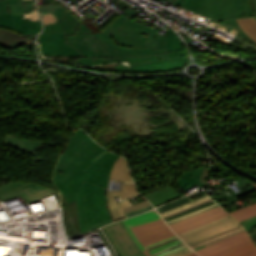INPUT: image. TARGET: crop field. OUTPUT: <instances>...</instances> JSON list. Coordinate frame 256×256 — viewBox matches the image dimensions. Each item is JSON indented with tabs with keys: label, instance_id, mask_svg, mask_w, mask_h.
Returning a JSON list of instances; mask_svg holds the SVG:
<instances>
[{
	"label": "crop field",
	"instance_id": "obj_1",
	"mask_svg": "<svg viewBox=\"0 0 256 256\" xmlns=\"http://www.w3.org/2000/svg\"><path fill=\"white\" fill-rule=\"evenodd\" d=\"M66 34V42L79 50L85 58H78L77 64H96L129 61V64L155 61V48H145L147 37L140 34L151 28L120 15L101 34H91L68 10L60 21ZM112 34V35H110ZM116 39V41H113Z\"/></svg>",
	"mask_w": 256,
	"mask_h": 256
},
{
	"label": "crop field",
	"instance_id": "obj_2",
	"mask_svg": "<svg viewBox=\"0 0 256 256\" xmlns=\"http://www.w3.org/2000/svg\"><path fill=\"white\" fill-rule=\"evenodd\" d=\"M81 130L76 129L67 141L54 174V183L67 204L76 200V191L89 175L83 170L108 152Z\"/></svg>",
	"mask_w": 256,
	"mask_h": 256
},
{
	"label": "crop field",
	"instance_id": "obj_3",
	"mask_svg": "<svg viewBox=\"0 0 256 256\" xmlns=\"http://www.w3.org/2000/svg\"><path fill=\"white\" fill-rule=\"evenodd\" d=\"M82 233L113 222L107 208L105 189L84 182L77 192Z\"/></svg>",
	"mask_w": 256,
	"mask_h": 256
},
{
	"label": "crop field",
	"instance_id": "obj_4",
	"mask_svg": "<svg viewBox=\"0 0 256 256\" xmlns=\"http://www.w3.org/2000/svg\"><path fill=\"white\" fill-rule=\"evenodd\" d=\"M151 102L148 99H145L144 102L141 103V100H131L127 99L123 103V105L120 108H115L111 115L115 114V119L117 117H120V121L126 122V125H131V127H135L134 131L138 134L143 135H149L156 131L158 127H163L164 125H167L169 123H175L174 127L176 128H182L186 126L182 121H180L170 110H166L165 108L159 110L164 111V113H170L172 115V118L170 121L160 125V126H154L151 122H149L146 118L151 112L149 110L152 105H150ZM106 113H109L111 111L106 109ZM110 115V116H111Z\"/></svg>",
	"mask_w": 256,
	"mask_h": 256
},
{
	"label": "crop field",
	"instance_id": "obj_5",
	"mask_svg": "<svg viewBox=\"0 0 256 256\" xmlns=\"http://www.w3.org/2000/svg\"><path fill=\"white\" fill-rule=\"evenodd\" d=\"M215 207H218V205L205 195L193 200H190V198L186 196L167 205L161 206L157 208V210L167 221L168 225H170Z\"/></svg>",
	"mask_w": 256,
	"mask_h": 256
},
{
	"label": "crop field",
	"instance_id": "obj_6",
	"mask_svg": "<svg viewBox=\"0 0 256 256\" xmlns=\"http://www.w3.org/2000/svg\"><path fill=\"white\" fill-rule=\"evenodd\" d=\"M196 252L201 256H256V247L244 231Z\"/></svg>",
	"mask_w": 256,
	"mask_h": 256
},
{
	"label": "crop field",
	"instance_id": "obj_7",
	"mask_svg": "<svg viewBox=\"0 0 256 256\" xmlns=\"http://www.w3.org/2000/svg\"><path fill=\"white\" fill-rule=\"evenodd\" d=\"M240 226V224L230 215L214 220L192 230L179 234V237L187 244H191L218 234L220 232L229 230L231 228Z\"/></svg>",
	"mask_w": 256,
	"mask_h": 256
},
{
	"label": "crop field",
	"instance_id": "obj_8",
	"mask_svg": "<svg viewBox=\"0 0 256 256\" xmlns=\"http://www.w3.org/2000/svg\"><path fill=\"white\" fill-rule=\"evenodd\" d=\"M121 256H145L133 241L122 221L103 227Z\"/></svg>",
	"mask_w": 256,
	"mask_h": 256
},
{
	"label": "crop field",
	"instance_id": "obj_9",
	"mask_svg": "<svg viewBox=\"0 0 256 256\" xmlns=\"http://www.w3.org/2000/svg\"><path fill=\"white\" fill-rule=\"evenodd\" d=\"M64 33H42L39 39L43 54L83 57L79 51L65 42Z\"/></svg>",
	"mask_w": 256,
	"mask_h": 256
},
{
	"label": "crop field",
	"instance_id": "obj_10",
	"mask_svg": "<svg viewBox=\"0 0 256 256\" xmlns=\"http://www.w3.org/2000/svg\"><path fill=\"white\" fill-rule=\"evenodd\" d=\"M132 230L143 246L175 236L163 219L142 226L133 227Z\"/></svg>",
	"mask_w": 256,
	"mask_h": 256
},
{
	"label": "crop field",
	"instance_id": "obj_11",
	"mask_svg": "<svg viewBox=\"0 0 256 256\" xmlns=\"http://www.w3.org/2000/svg\"><path fill=\"white\" fill-rule=\"evenodd\" d=\"M119 156L108 152L85 171L91 173L86 182H90L97 186H102L107 188L109 173L112 165L117 160Z\"/></svg>",
	"mask_w": 256,
	"mask_h": 256
},
{
	"label": "crop field",
	"instance_id": "obj_12",
	"mask_svg": "<svg viewBox=\"0 0 256 256\" xmlns=\"http://www.w3.org/2000/svg\"><path fill=\"white\" fill-rule=\"evenodd\" d=\"M145 248L152 256H185L193 253L177 236L145 246Z\"/></svg>",
	"mask_w": 256,
	"mask_h": 256
},
{
	"label": "crop field",
	"instance_id": "obj_13",
	"mask_svg": "<svg viewBox=\"0 0 256 256\" xmlns=\"http://www.w3.org/2000/svg\"><path fill=\"white\" fill-rule=\"evenodd\" d=\"M117 195H120L121 199H126L138 195V193L134 184H122L121 191H106L108 208L114 222L126 218L121 208L131 205L129 200L116 203L114 196Z\"/></svg>",
	"mask_w": 256,
	"mask_h": 256
},
{
	"label": "crop field",
	"instance_id": "obj_14",
	"mask_svg": "<svg viewBox=\"0 0 256 256\" xmlns=\"http://www.w3.org/2000/svg\"><path fill=\"white\" fill-rule=\"evenodd\" d=\"M227 215V213L220 207L213 210L207 211L205 213L199 214L197 216L191 217L189 219L183 220L181 222L170 225L173 231L177 234L184 232L186 230L192 229L214 219L220 218Z\"/></svg>",
	"mask_w": 256,
	"mask_h": 256
},
{
	"label": "crop field",
	"instance_id": "obj_15",
	"mask_svg": "<svg viewBox=\"0 0 256 256\" xmlns=\"http://www.w3.org/2000/svg\"><path fill=\"white\" fill-rule=\"evenodd\" d=\"M188 61L187 57H178L168 60L149 62L144 64L132 65V72H153V71H167L172 69H178L186 64Z\"/></svg>",
	"mask_w": 256,
	"mask_h": 256
},
{
	"label": "crop field",
	"instance_id": "obj_16",
	"mask_svg": "<svg viewBox=\"0 0 256 256\" xmlns=\"http://www.w3.org/2000/svg\"><path fill=\"white\" fill-rule=\"evenodd\" d=\"M182 7L220 21L217 0H186Z\"/></svg>",
	"mask_w": 256,
	"mask_h": 256
},
{
	"label": "crop field",
	"instance_id": "obj_17",
	"mask_svg": "<svg viewBox=\"0 0 256 256\" xmlns=\"http://www.w3.org/2000/svg\"><path fill=\"white\" fill-rule=\"evenodd\" d=\"M16 31L27 34L32 32H40L42 30L39 16L32 15H13Z\"/></svg>",
	"mask_w": 256,
	"mask_h": 256
},
{
	"label": "crop field",
	"instance_id": "obj_18",
	"mask_svg": "<svg viewBox=\"0 0 256 256\" xmlns=\"http://www.w3.org/2000/svg\"><path fill=\"white\" fill-rule=\"evenodd\" d=\"M158 219H161V217L157 214V212L155 210H152V211L142 213V214H139V215H136L131 218L123 220V223L127 227L132 238L137 243V245L141 248L142 251H144L145 249L142 246V244L139 242V240L137 239V237L135 236V234L133 233V231L131 230L130 227L142 225V224H145V223H148L151 221H155Z\"/></svg>",
	"mask_w": 256,
	"mask_h": 256
},
{
	"label": "crop field",
	"instance_id": "obj_19",
	"mask_svg": "<svg viewBox=\"0 0 256 256\" xmlns=\"http://www.w3.org/2000/svg\"><path fill=\"white\" fill-rule=\"evenodd\" d=\"M32 0H1L0 14H31Z\"/></svg>",
	"mask_w": 256,
	"mask_h": 256
},
{
	"label": "crop field",
	"instance_id": "obj_20",
	"mask_svg": "<svg viewBox=\"0 0 256 256\" xmlns=\"http://www.w3.org/2000/svg\"><path fill=\"white\" fill-rule=\"evenodd\" d=\"M14 191L21 197H23L27 201L26 203L33 201L37 198L46 196L48 194L54 193V191L46 187L31 183H28L27 185L22 186Z\"/></svg>",
	"mask_w": 256,
	"mask_h": 256
},
{
	"label": "crop field",
	"instance_id": "obj_21",
	"mask_svg": "<svg viewBox=\"0 0 256 256\" xmlns=\"http://www.w3.org/2000/svg\"><path fill=\"white\" fill-rule=\"evenodd\" d=\"M154 206H158L182 197L171 186L156 192L144 195Z\"/></svg>",
	"mask_w": 256,
	"mask_h": 256
},
{
	"label": "crop field",
	"instance_id": "obj_22",
	"mask_svg": "<svg viewBox=\"0 0 256 256\" xmlns=\"http://www.w3.org/2000/svg\"><path fill=\"white\" fill-rule=\"evenodd\" d=\"M110 179L133 182L126 159L119 157L111 170Z\"/></svg>",
	"mask_w": 256,
	"mask_h": 256
},
{
	"label": "crop field",
	"instance_id": "obj_23",
	"mask_svg": "<svg viewBox=\"0 0 256 256\" xmlns=\"http://www.w3.org/2000/svg\"><path fill=\"white\" fill-rule=\"evenodd\" d=\"M218 3L221 20L241 17L238 0H218Z\"/></svg>",
	"mask_w": 256,
	"mask_h": 256
},
{
	"label": "crop field",
	"instance_id": "obj_24",
	"mask_svg": "<svg viewBox=\"0 0 256 256\" xmlns=\"http://www.w3.org/2000/svg\"><path fill=\"white\" fill-rule=\"evenodd\" d=\"M155 30L151 29L146 47H156L158 60L168 59L169 56L165 50L167 38H153Z\"/></svg>",
	"mask_w": 256,
	"mask_h": 256
},
{
	"label": "crop field",
	"instance_id": "obj_25",
	"mask_svg": "<svg viewBox=\"0 0 256 256\" xmlns=\"http://www.w3.org/2000/svg\"><path fill=\"white\" fill-rule=\"evenodd\" d=\"M166 49L171 58L178 56H187L186 53L182 51V44L179 38L170 28H168V42Z\"/></svg>",
	"mask_w": 256,
	"mask_h": 256
},
{
	"label": "crop field",
	"instance_id": "obj_26",
	"mask_svg": "<svg viewBox=\"0 0 256 256\" xmlns=\"http://www.w3.org/2000/svg\"><path fill=\"white\" fill-rule=\"evenodd\" d=\"M242 231H244V229H243L242 226H240V227L234 228L232 230H229V231L220 233L218 235L212 236V237L207 238L205 240L199 241L197 243L191 244L189 246L191 248H193L194 250H196L198 248H201V247H204L206 245L212 244V243L217 242V241H219V240H221L223 238H226L228 236L234 235V234L242 232Z\"/></svg>",
	"mask_w": 256,
	"mask_h": 256
},
{
	"label": "crop field",
	"instance_id": "obj_27",
	"mask_svg": "<svg viewBox=\"0 0 256 256\" xmlns=\"http://www.w3.org/2000/svg\"><path fill=\"white\" fill-rule=\"evenodd\" d=\"M241 28L245 31V33L251 37L252 39L256 40V21L253 17L251 18H244V19H237Z\"/></svg>",
	"mask_w": 256,
	"mask_h": 256
},
{
	"label": "crop field",
	"instance_id": "obj_28",
	"mask_svg": "<svg viewBox=\"0 0 256 256\" xmlns=\"http://www.w3.org/2000/svg\"><path fill=\"white\" fill-rule=\"evenodd\" d=\"M26 184L25 182H11L0 186V197L2 200L18 196L12 190Z\"/></svg>",
	"mask_w": 256,
	"mask_h": 256
},
{
	"label": "crop field",
	"instance_id": "obj_29",
	"mask_svg": "<svg viewBox=\"0 0 256 256\" xmlns=\"http://www.w3.org/2000/svg\"><path fill=\"white\" fill-rule=\"evenodd\" d=\"M230 215H232L239 222L245 219H248L250 217H253L256 215V203L250 206H247L245 208H242L238 211H235L233 213H230Z\"/></svg>",
	"mask_w": 256,
	"mask_h": 256
},
{
	"label": "crop field",
	"instance_id": "obj_30",
	"mask_svg": "<svg viewBox=\"0 0 256 256\" xmlns=\"http://www.w3.org/2000/svg\"><path fill=\"white\" fill-rule=\"evenodd\" d=\"M224 44L229 45V46L237 47V48L241 49L244 52L246 51V49L249 46L256 48V45H253L251 43H248V42H246L244 40H241V39H238L236 37H234V39H233L231 44H227V43H224Z\"/></svg>",
	"mask_w": 256,
	"mask_h": 256
},
{
	"label": "crop field",
	"instance_id": "obj_31",
	"mask_svg": "<svg viewBox=\"0 0 256 256\" xmlns=\"http://www.w3.org/2000/svg\"><path fill=\"white\" fill-rule=\"evenodd\" d=\"M0 26L15 30L12 14L0 15Z\"/></svg>",
	"mask_w": 256,
	"mask_h": 256
},
{
	"label": "crop field",
	"instance_id": "obj_32",
	"mask_svg": "<svg viewBox=\"0 0 256 256\" xmlns=\"http://www.w3.org/2000/svg\"><path fill=\"white\" fill-rule=\"evenodd\" d=\"M148 206H151V204L147 200H145V201L139 202L137 204L128 206L126 208H123V211L126 214V213H129V212H132V211H135V210H139V209H142V208H145V207H148Z\"/></svg>",
	"mask_w": 256,
	"mask_h": 256
},
{
	"label": "crop field",
	"instance_id": "obj_33",
	"mask_svg": "<svg viewBox=\"0 0 256 256\" xmlns=\"http://www.w3.org/2000/svg\"><path fill=\"white\" fill-rule=\"evenodd\" d=\"M221 22H222V23H225V24H228V25H231V26H233V27H236V28H238V29H240L239 32L237 33V35H239V36H241V37H243V38H245V39H248V40H250V41H253L251 38H249V37L244 33V31L240 28V26L238 25V23L236 22L235 19L226 20V21H221ZM253 42H255V41H253Z\"/></svg>",
	"mask_w": 256,
	"mask_h": 256
},
{
	"label": "crop field",
	"instance_id": "obj_34",
	"mask_svg": "<svg viewBox=\"0 0 256 256\" xmlns=\"http://www.w3.org/2000/svg\"><path fill=\"white\" fill-rule=\"evenodd\" d=\"M243 17L251 16L248 0H239Z\"/></svg>",
	"mask_w": 256,
	"mask_h": 256
},
{
	"label": "crop field",
	"instance_id": "obj_35",
	"mask_svg": "<svg viewBox=\"0 0 256 256\" xmlns=\"http://www.w3.org/2000/svg\"><path fill=\"white\" fill-rule=\"evenodd\" d=\"M165 90H166V91H169V92H172V93H174V94H177V95H179V96H182V97H184V98H186V99L192 101V97H191V96H187V95H184V94H181V93H177V92L171 91V90L166 89V88H165Z\"/></svg>",
	"mask_w": 256,
	"mask_h": 256
},
{
	"label": "crop field",
	"instance_id": "obj_36",
	"mask_svg": "<svg viewBox=\"0 0 256 256\" xmlns=\"http://www.w3.org/2000/svg\"><path fill=\"white\" fill-rule=\"evenodd\" d=\"M152 208H153V206L145 208V209H142V210H139V211H136V212H132V213L126 214V217L134 215V214H137V213H140V212H143V211H146V210H149V209H152Z\"/></svg>",
	"mask_w": 256,
	"mask_h": 256
},
{
	"label": "crop field",
	"instance_id": "obj_37",
	"mask_svg": "<svg viewBox=\"0 0 256 256\" xmlns=\"http://www.w3.org/2000/svg\"><path fill=\"white\" fill-rule=\"evenodd\" d=\"M244 227H245L246 230L252 229V228L256 227V221L252 222V223H249L247 225H244Z\"/></svg>",
	"mask_w": 256,
	"mask_h": 256
},
{
	"label": "crop field",
	"instance_id": "obj_38",
	"mask_svg": "<svg viewBox=\"0 0 256 256\" xmlns=\"http://www.w3.org/2000/svg\"><path fill=\"white\" fill-rule=\"evenodd\" d=\"M254 220H256V216L253 217V218H250V219H248V220H246V221L241 222V224L244 225V224L249 223V222H252V221H254Z\"/></svg>",
	"mask_w": 256,
	"mask_h": 256
},
{
	"label": "crop field",
	"instance_id": "obj_39",
	"mask_svg": "<svg viewBox=\"0 0 256 256\" xmlns=\"http://www.w3.org/2000/svg\"><path fill=\"white\" fill-rule=\"evenodd\" d=\"M251 237H252L254 243L256 244V233L252 234Z\"/></svg>",
	"mask_w": 256,
	"mask_h": 256
},
{
	"label": "crop field",
	"instance_id": "obj_40",
	"mask_svg": "<svg viewBox=\"0 0 256 256\" xmlns=\"http://www.w3.org/2000/svg\"><path fill=\"white\" fill-rule=\"evenodd\" d=\"M146 256H151L147 251L144 252Z\"/></svg>",
	"mask_w": 256,
	"mask_h": 256
},
{
	"label": "crop field",
	"instance_id": "obj_41",
	"mask_svg": "<svg viewBox=\"0 0 256 256\" xmlns=\"http://www.w3.org/2000/svg\"><path fill=\"white\" fill-rule=\"evenodd\" d=\"M188 256H198L197 254L193 253V254H190Z\"/></svg>",
	"mask_w": 256,
	"mask_h": 256
},
{
	"label": "crop field",
	"instance_id": "obj_42",
	"mask_svg": "<svg viewBox=\"0 0 256 256\" xmlns=\"http://www.w3.org/2000/svg\"><path fill=\"white\" fill-rule=\"evenodd\" d=\"M254 3H255V7H256V0H254Z\"/></svg>",
	"mask_w": 256,
	"mask_h": 256
},
{
	"label": "crop field",
	"instance_id": "obj_43",
	"mask_svg": "<svg viewBox=\"0 0 256 256\" xmlns=\"http://www.w3.org/2000/svg\"><path fill=\"white\" fill-rule=\"evenodd\" d=\"M255 186H256V183L252 182Z\"/></svg>",
	"mask_w": 256,
	"mask_h": 256
},
{
	"label": "crop field",
	"instance_id": "obj_44",
	"mask_svg": "<svg viewBox=\"0 0 256 256\" xmlns=\"http://www.w3.org/2000/svg\"><path fill=\"white\" fill-rule=\"evenodd\" d=\"M256 19V17H254Z\"/></svg>",
	"mask_w": 256,
	"mask_h": 256
}]
</instances>
